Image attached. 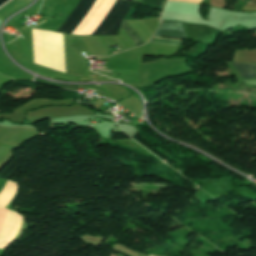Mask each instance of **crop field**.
Segmentation results:
<instances>
[{
    "label": "crop field",
    "instance_id": "obj_5",
    "mask_svg": "<svg viewBox=\"0 0 256 256\" xmlns=\"http://www.w3.org/2000/svg\"><path fill=\"white\" fill-rule=\"evenodd\" d=\"M164 0H142L141 2L143 3H147L149 5H153V6H162Z\"/></svg>",
    "mask_w": 256,
    "mask_h": 256
},
{
    "label": "crop field",
    "instance_id": "obj_7",
    "mask_svg": "<svg viewBox=\"0 0 256 256\" xmlns=\"http://www.w3.org/2000/svg\"><path fill=\"white\" fill-rule=\"evenodd\" d=\"M179 1L192 2V3L199 4V2H200L201 0H179Z\"/></svg>",
    "mask_w": 256,
    "mask_h": 256
},
{
    "label": "crop field",
    "instance_id": "obj_6",
    "mask_svg": "<svg viewBox=\"0 0 256 256\" xmlns=\"http://www.w3.org/2000/svg\"><path fill=\"white\" fill-rule=\"evenodd\" d=\"M6 211L7 210H4V209L0 208V228H1V225H2V222H3Z\"/></svg>",
    "mask_w": 256,
    "mask_h": 256
},
{
    "label": "crop field",
    "instance_id": "obj_4",
    "mask_svg": "<svg viewBox=\"0 0 256 256\" xmlns=\"http://www.w3.org/2000/svg\"><path fill=\"white\" fill-rule=\"evenodd\" d=\"M121 29L129 36V38L137 46L144 44V42L134 33V31L125 22H123Z\"/></svg>",
    "mask_w": 256,
    "mask_h": 256
},
{
    "label": "crop field",
    "instance_id": "obj_2",
    "mask_svg": "<svg viewBox=\"0 0 256 256\" xmlns=\"http://www.w3.org/2000/svg\"><path fill=\"white\" fill-rule=\"evenodd\" d=\"M154 36L186 39L182 23L162 22Z\"/></svg>",
    "mask_w": 256,
    "mask_h": 256
},
{
    "label": "crop field",
    "instance_id": "obj_1",
    "mask_svg": "<svg viewBox=\"0 0 256 256\" xmlns=\"http://www.w3.org/2000/svg\"><path fill=\"white\" fill-rule=\"evenodd\" d=\"M94 0H80L72 12L58 26L55 31L69 34L80 19L89 10ZM130 10L129 2L125 0H116L107 16L93 30L90 35H117L121 23Z\"/></svg>",
    "mask_w": 256,
    "mask_h": 256
},
{
    "label": "crop field",
    "instance_id": "obj_8",
    "mask_svg": "<svg viewBox=\"0 0 256 256\" xmlns=\"http://www.w3.org/2000/svg\"><path fill=\"white\" fill-rule=\"evenodd\" d=\"M3 0H0V2H2Z\"/></svg>",
    "mask_w": 256,
    "mask_h": 256
},
{
    "label": "crop field",
    "instance_id": "obj_3",
    "mask_svg": "<svg viewBox=\"0 0 256 256\" xmlns=\"http://www.w3.org/2000/svg\"><path fill=\"white\" fill-rule=\"evenodd\" d=\"M243 79L256 78V66L232 63Z\"/></svg>",
    "mask_w": 256,
    "mask_h": 256
}]
</instances>
